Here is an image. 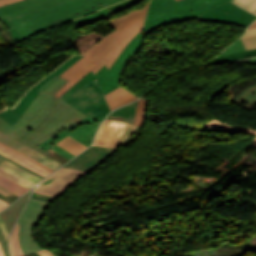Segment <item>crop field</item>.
<instances>
[{"instance_id": "obj_1", "label": "crop field", "mask_w": 256, "mask_h": 256, "mask_svg": "<svg viewBox=\"0 0 256 256\" xmlns=\"http://www.w3.org/2000/svg\"><path fill=\"white\" fill-rule=\"evenodd\" d=\"M67 82L60 77L40 92L15 123L10 125L0 118V131L46 155L49 154L37 145L87 117L67 102L53 97Z\"/></svg>"}, {"instance_id": "obj_2", "label": "crop field", "mask_w": 256, "mask_h": 256, "mask_svg": "<svg viewBox=\"0 0 256 256\" xmlns=\"http://www.w3.org/2000/svg\"><path fill=\"white\" fill-rule=\"evenodd\" d=\"M149 3L150 0L141 9L107 21L115 31L88 49L83 58L60 75L69 82L55 96L59 98L90 71L96 74L105 63L110 69L126 45L142 30Z\"/></svg>"}, {"instance_id": "obj_3", "label": "crop field", "mask_w": 256, "mask_h": 256, "mask_svg": "<svg viewBox=\"0 0 256 256\" xmlns=\"http://www.w3.org/2000/svg\"><path fill=\"white\" fill-rule=\"evenodd\" d=\"M119 1L121 0H69L10 19V21L15 26L19 34L23 38H26L34 34L31 30L33 28L77 14L100 4H102L103 7H106Z\"/></svg>"}, {"instance_id": "obj_4", "label": "crop field", "mask_w": 256, "mask_h": 256, "mask_svg": "<svg viewBox=\"0 0 256 256\" xmlns=\"http://www.w3.org/2000/svg\"><path fill=\"white\" fill-rule=\"evenodd\" d=\"M143 42V30L127 45L125 50L122 52L120 57L108 71L106 65H104L101 70L94 75L93 72L87 74L82 80H80L76 85H74L70 90H68L60 99L65 100L80 87L85 85L88 82H91L95 79L98 80L100 87L105 94L112 91L116 87L120 86L118 84L119 75L123 67L127 62L134 56V54L139 50Z\"/></svg>"}, {"instance_id": "obj_5", "label": "crop field", "mask_w": 256, "mask_h": 256, "mask_svg": "<svg viewBox=\"0 0 256 256\" xmlns=\"http://www.w3.org/2000/svg\"><path fill=\"white\" fill-rule=\"evenodd\" d=\"M226 1L229 0L220 2L198 14H195L175 0H152L145 25V34L169 23L198 18L200 14Z\"/></svg>"}, {"instance_id": "obj_6", "label": "crop field", "mask_w": 256, "mask_h": 256, "mask_svg": "<svg viewBox=\"0 0 256 256\" xmlns=\"http://www.w3.org/2000/svg\"><path fill=\"white\" fill-rule=\"evenodd\" d=\"M65 101L99 122L111 112L96 80L83 86Z\"/></svg>"}, {"instance_id": "obj_7", "label": "crop field", "mask_w": 256, "mask_h": 256, "mask_svg": "<svg viewBox=\"0 0 256 256\" xmlns=\"http://www.w3.org/2000/svg\"><path fill=\"white\" fill-rule=\"evenodd\" d=\"M51 202L31 198L26 205L18 223L21 224L19 242L24 255L40 250V246L33 238V226L39 225L46 215V208Z\"/></svg>"}, {"instance_id": "obj_8", "label": "crop field", "mask_w": 256, "mask_h": 256, "mask_svg": "<svg viewBox=\"0 0 256 256\" xmlns=\"http://www.w3.org/2000/svg\"><path fill=\"white\" fill-rule=\"evenodd\" d=\"M88 173L62 167L45 179L34 192L57 197Z\"/></svg>"}, {"instance_id": "obj_9", "label": "crop field", "mask_w": 256, "mask_h": 256, "mask_svg": "<svg viewBox=\"0 0 256 256\" xmlns=\"http://www.w3.org/2000/svg\"><path fill=\"white\" fill-rule=\"evenodd\" d=\"M137 128L120 120L105 119L94 144L117 148Z\"/></svg>"}, {"instance_id": "obj_10", "label": "crop field", "mask_w": 256, "mask_h": 256, "mask_svg": "<svg viewBox=\"0 0 256 256\" xmlns=\"http://www.w3.org/2000/svg\"><path fill=\"white\" fill-rule=\"evenodd\" d=\"M256 16L246 10L227 2L203 15L198 20L236 24L247 27Z\"/></svg>"}, {"instance_id": "obj_11", "label": "crop field", "mask_w": 256, "mask_h": 256, "mask_svg": "<svg viewBox=\"0 0 256 256\" xmlns=\"http://www.w3.org/2000/svg\"><path fill=\"white\" fill-rule=\"evenodd\" d=\"M117 151L119 150L91 146L67 163L65 167L90 172L100 166Z\"/></svg>"}, {"instance_id": "obj_12", "label": "crop field", "mask_w": 256, "mask_h": 256, "mask_svg": "<svg viewBox=\"0 0 256 256\" xmlns=\"http://www.w3.org/2000/svg\"><path fill=\"white\" fill-rule=\"evenodd\" d=\"M83 55L74 54L70 59L62 63L58 68L52 71L49 75L45 76L41 79L37 84H35L30 90H28L21 99L16 103L14 108L12 109L16 114L20 117L26 108L32 103L35 97L39 93V89L46 84L50 79H52L55 75L63 73L66 69H68L72 64H74L77 60H79Z\"/></svg>"}, {"instance_id": "obj_13", "label": "crop field", "mask_w": 256, "mask_h": 256, "mask_svg": "<svg viewBox=\"0 0 256 256\" xmlns=\"http://www.w3.org/2000/svg\"><path fill=\"white\" fill-rule=\"evenodd\" d=\"M66 0H25L4 7H0V17L6 16L8 19L35 11L47 6H51Z\"/></svg>"}, {"instance_id": "obj_14", "label": "crop field", "mask_w": 256, "mask_h": 256, "mask_svg": "<svg viewBox=\"0 0 256 256\" xmlns=\"http://www.w3.org/2000/svg\"><path fill=\"white\" fill-rule=\"evenodd\" d=\"M0 142L15 149L16 151L56 170L57 168H59L61 165V163L17 142L16 140L10 138L9 136L5 135L4 133L0 132Z\"/></svg>"}, {"instance_id": "obj_15", "label": "crop field", "mask_w": 256, "mask_h": 256, "mask_svg": "<svg viewBox=\"0 0 256 256\" xmlns=\"http://www.w3.org/2000/svg\"><path fill=\"white\" fill-rule=\"evenodd\" d=\"M0 173L29 189L42 180L7 160L0 164Z\"/></svg>"}, {"instance_id": "obj_16", "label": "crop field", "mask_w": 256, "mask_h": 256, "mask_svg": "<svg viewBox=\"0 0 256 256\" xmlns=\"http://www.w3.org/2000/svg\"><path fill=\"white\" fill-rule=\"evenodd\" d=\"M140 0H126L120 4L108 7L106 9L91 13L89 15L83 16L77 20H74V24L76 28L81 27L83 25L89 24L91 22L100 21L114 13H117L123 9H127L136 3H138Z\"/></svg>"}, {"instance_id": "obj_17", "label": "crop field", "mask_w": 256, "mask_h": 256, "mask_svg": "<svg viewBox=\"0 0 256 256\" xmlns=\"http://www.w3.org/2000/svg\"><path fill=\"white\" fill-rule=\"evenodd\" d=\"M32 190L30 192H28L26 195H24L22 198H20L17 202H15L8 209H6L5 211L0 213V217L6 227L9 235L11 234L13 225H14L16 219L18 218L23 206L27 203L28 197H29L30 193L32 192Z\"/></svg>"}, {"instance_id": "obj_18", "label": "crop field", "mask_w": 256, "mask_h": 256, "mask_svg": "<svg viewBox=\"0 0 256 256\" xmlns=\"http://www.w3.org/2000/svg\"><path fill=\"white\" fill-rule=\"evenodd\" d=\"M201 127L202 129L208 130V131H225L230 133L243 132V133H251L256 135V130L254 129L227 125L214 118L203 123ZM250 145L256 147V136L251 140Z\"/></svg>"}, {"instance_id": "obj_19", "label": "crop field", "mask_w": 256, "mask_h": 256, "mask_svg": "<svg viewBox=\"0 0 256 256\" xmlns=\"http://www.w3.org/2000/svg\"><path fill=\"white\" fill-rule=\"evenodd\" d=\"M105 97L111 111L117 107L133 102L138 98L132 95L130 92L124 90L121 86L105 95Z\"/></svg>"}, {"instance_id": "obj_20", "label": "crop field", "mask_w": 256, "mask_h": 256, "mask_svg": "<svg viewBox=\"0 0 256 256\" xmlns=\"http://www.w3.org/2000/svg\"><path fill=\"white\" fill-rule=\"evenodd\" d=\"M95 122L93 119H91L90 117H87L83 120H81L80 122L72 125L71 127L65 129L63 132L53 136L52 138H50L49 140L45 141L44 143L40 144L39 147L47 150L49 149L51 146H53L54 144H56L57 142H59L61 139H63L65 136L91 124Z\"/></svg>"}, {"instance_id": "obj_21", "label": "crop field", "mask_w": 256, "mask_h": 256, "mask_svg": "<svg viewBox=\"0 0 256 256\" xmlns=\"http://www.w3.org/2000/svg\"><path fill=\"white\" fill-rule=\"evenodd\" d=\"M0 154H2L4 156H6V157L16 161L17 163H19V164H21V165H23V166H25V167H27V168L37 172V173H39V174H41V175H43L45 177L48 176L51 173V172H49V171H47V170H45V169H43V168H41V167L31 163L30 161L20 157L19 155H17L15 153H13V152H11V151L1 147V146H0Z\"/></svg>"}, {"instance_id": "obj_22", "label": "crop field", "mask_w": 256, "mask_h": 256, "mask_svg": "<svg viewBox=\"0 0 256 256\" xmlns=\"http://www.w3.org/2000/svg\"><path fill=\"white\" fill-rule=\"evenodd\" d=\"M98 126H99V123L95 122L70 136L78 140L85 146L89 147Z\"/></svg>"}, {"instance_id": "obj_23", "label": "crop field", "mask_w": 256, "mask_h": 256, "mask_svg": "<svg viewBox=\"0 0 256 256\" xmlns=\"http://www.w3.org/2000/svg\"><path fill=\"white\" fill-rule=\"evenodd\" d=\"M136 103L137 102L116 110L115 112L111 113L107 118L120 119V120H123V121L133 124Z\"/></svg>"}, {"instance_id": "obj_24", "label": "crop field", "mask_w": 256, "mask_h": 256, "mask_svg": "<svg viewBox=\"0 0 256 256\" xmlns=\"http://www.w3.org/2000/svg\"><path fill=\"white\" fill-rule=\"evenodd\" d=\"M56 145L66 149L67 151H69L75 155L78 154L79 152H81L82 150H84L85 148H87L69 136L64 138L62 141H60Z\"/></svg>"}, {"instance_id": "obj_25", "label": "crop field", "mask_w": 256, "mask_h": 256, "mask_svg": "<svg viewBox=\"0 0 256 256\" xmlns=\"http://www.w3.org/2000/svg\"><path fill=\"white\" fill-rule=\"evenodd\" d=\"M0 186L21 196L22 194H24L26 191H28L29 189L23 187L22 185L0 175Z\"/></svg>"}, {"instance_id": "obj_26", "label": "crop field", "mask_w": 256, "mask_h": 256, "mask_svg": "<svg viewBox=\"0 0 256 256\" xmlns=\"http://www.w3.org/2000/svg\"><path fill=\"white\" fill-rule=\"evenodd\" d=\"M255 55H256V49L243 51V52L230 53V54H223V55H219L218 58H216L210 63L227 62V61L236 60L244 57L255 56Z\"/></svg>"}, {"instance_id": "obj_27", "label": "crop field", "mask_w": 256, "mask_h": 256, "mask_svg": "<svg viewBox=\"0 0 256 256\" xmlns=\"http://www.w3.org/2000/svg\"><path fill=\"white\" fill-rule=\"evenodd\" d=\"M220 1H223V0H196L191 3L186 4L184 6L186 8H188L189 10L197 13V12H199L217 2H220Z\"/></svg>"}, {"instance_id": "obj_28", "label": "crop field", "mask_w": 256, "mask_h": 256, "mask_svg": "<svg viewBox=\"0 0 256 256\" xmlns=\"http://www.w3.org/2000/svg\"><path fill=\"white\" fill-rule=\"evenodd\" d=\"M146 104L147 99L142 98L138 100L136 116H135V125L143 126L144 119H145V112H146Z\"/></svg>"}, {"instance_id": "obj_29", "label": "crop field", "mask_w": 256, "mask_h": 256, "mask_svg": "<svg viewBox=\"0 0 256 256\" xmlns=\"http://www.w3.org/2000/svg\"><path fill=\"white\" fill-rule=\"evenodd\" d=\"M240 39L246 50L256 48V28L249 29Z\"/></svg>"}, {"instance_id": "obj_30", "label": "crop field", "mask_w": 256, "mask_h": 256, "mask_svg": "<svg viewBox=\"0 0 256 256\" xmlns=\"http://www.w3.org/2000/svg\"><path fill=\"white\" fill-rule=\"evenodd\" d=\"M19 226H20L19 224L16 225L10 241V247H11L13 256H24L18 243Z\"/></svg>"}, {"instance_id": "obj_31", "label": "crop field", "mask_w": 256, "mask_h": 256, "mask_svg": "<svg viewBox=\"0 0 256 256\" xmlns=\"http://www.w3.org/2000/svg\"><path fill=\"white\" fill-rule=\"evenodd\" d=\"M100 8H103V7H102V6H98V7H96V8L89 9V10H87V11L81 12L80 14L73 15V16L68 17V18H65V19H63V20H59V21H57V22H54V23H51V24H47V25L41 26V27H39V28L33 29V31H34V33H36V32L41 31V30H43V29H46V28H49V27H52V26L61 24V23H63V22L72 20V19H74V18H76V17H78V16L85 15V14H87V13H89V12L98 10V9H100Z\"/></svg>"}, {"instance_id": "obj_32", "label": "crop field", "mask_w": 256, "mask_h": 256, "mask_svg": "<svg viewBox=\"0 0 256 256\" xmlns=\"http://www.w3.org/2000/svg\"><path fill=\"white\" fill-rule=\"evenodd\" d=\"M230 2L256 15V0H232Z\"/></svg>"}, {"instance_id": "obj_33", "label": "crop field", "mask_w": 256, "mask_h": 256, "mask_svg": "<svg viewBox=\"0 0 256 256\" xmlns=\"http://www.w3.org/2000/svg\"><path fill=\"white\" fill-rule=\"evenodd\" d=\"M253 92H256V85L247 89L236 101L235 103L237 104H241V102H245V103H251V104H256V98H251L248 97L250 94H252Z\"/></svg>"}, {"instance_id": "obj_34", "label": "crop field", "mask_w": 256, "mask_h": 256, "mask_svg": "<svg viewBox=\"0 0 256 256\" xmlns=\"http://www.w3.org/2000/svg\"><path fill=\"white\" fill-rule=\"evenodd\" d=\"M0 116L5 119L7 122H9L10 124L15 122L17 119H19L20 117L17 116L12 110H10L9 108L0 112Z\"/></svg>"}, {"instance_id": "obj_35", "label": "crop field", "mask_w": 256, "mask_h": 256, "mask_svg": "<svg viewBox=\"0 0 256 256\" xmlns=\"http://www.w3.org/2000/svg\"><path fill=\"white\" fill-rule=\"evenodd\" d=\"M2 20V22L7 26V28L12 32L13 34V38L14 40L17 42L21 39H23L18 32L16 31V29L14 28V26L11 24V22L6 18H0Z\"/></svg>"}, {"instance_id": "obj_36", "label": "crop field", "mask_w": 256, "mask_h": 256, "mask_svg": "<svg viewBox=\"0 0 256 256\" xmlns=\"http://www.w3.org/2000/svg\"><path fill=\"white\" fill-rule=\"evenodd\" d=\"M47 151L50 153L48 156L54 158L55 160H57V161H59V162H61L63 164L69 161L68 159H66L65 157L59 155L58 153L54 152L51 149H49Z\"/></svg>"}, {"instance_id": "obj_37", "label": "crop field", "mask_w": 256, "mask_h": 256, "mask_svg": "<svg viewBox=\"0 0 256 256\" xmlns=\"http://www.w3.org/2000/svg\"><path fill=\"white\" fill-rule=\"evenodd\" d=\"M0 244H1L2 248H3L4 255L5 256H10L8 245H7L6 241H5V238H4L3 234H2L1 229H0Z\"/></svg>"}, {"instance_id": "obj_38", "label": "crop field", "mask_w": 256, "mask_h": 256, "mask_svg": "<svg viewBox=\"0 0 256 256\" xmlns=\"http://www.w3.org/2000/svg\"><path fill=\"white\" fill-rule=\"evenodd\" d=\"M52 149H53L54 151L58 152L59 154L65 156V157L68 158V159H71V158H73V157L75 156V155H73V154H71V153L65 151L64 149H62V148H60V147H58V146H56V145H55V147L52 148Z\"/></svg>"}, {"instance_id": "obj_39", "label": "crop field", "mask_w": 256, "mask_h": 256, "mask_svg": "<svg viewBox=\"0 0 256 256\" xmlns=\"http://www.w3.org/2000/svg\"><path fill=\"white\" fill-rule=\"evenodd\" d=\"M0 194L4 195L5 197H7V198H9L13 201L16 200L19 197V196L13 194V193L1 188V187H0Z\"/></svg>"}, {"instance_id": "obj_40", "label": "crop field", "mask_w": 256, "mask_h": 256, "mask_svg": "<svg viewBox=\"0 0 256 256\" xmlns=\"http://www.w3.org/2000/svg\"><path fill=\"white\" fill-rule=\"evenodd\" d=\"M31 197H37V198L49 200L51 202H53L55 200L54 197H50V196H46V195H42V194H38V193H34V192L32 193Z\"/></svg>"}, {"instance_id": "obj_41", "label": "crop field", "mask_w": 256, "mask_h": 256, "mask_svg": "<svg viewBox=\"0 0 256 256\" xmlns=\"http://www.w3.org/2000/svg\"><path fill=\"white\" fill-rule=\"evenodd\" d=\"M0 145H1V146H3V147H5V148H7V149H9V150H11V151H13V152H15V153H17V154H19V155H21L22 157H24V158H26V159L30 160L31 162H33V163H35V164H37V165H39V166H41V167H43V168H45V169H47V170L51 171V172H53V170H51V169H49V168H47V167H45V166H43V165H41V164H39V163H37V162L33 161V160H31L30 158H28V157H26V156H24V155H22V154H20V153H18V152H16V151H14V150L10 149V148H8V147H6V146L2 145V144H0Z\"/></svg>"}, {"instance_id": "obj_42", "label": "crop field", "mask_w": 256, "mask_h": 256, "mask_svg": "<svg viewBox=\"0 0 256 256\" xmlns=\"http://www.w3.org/2000/svg\"><path fill=\"white\" fill-rule=\"evenodd\" d=\"M0 227H1V229H2V231H3V234H4L5 238H6V241H7V243H8L9 235H8V233H7V231H6L5 227H4V225H3L2 221H1V219H0Z\"/></svg>"}, {"instance_id": "obj_43", "label": "crop field", "mask_w": 256, "mask_h": 256, "mask_svg": "<svg viewBox=\"0 0 256 256\" xmlns=\"http://www.w3.org/2000/svg\"><path fill=\"white\" fill-rule=\"evenodd\" d=\"M18 1H21V0H2V1H0V6L11 4L14 2H18Z\"/></svg>"}, {"instance_id": "obj_44", "label": "crop field", "mask_w": 256, "mask_h": 256, "mask_svg": "<svg viewBox=\"0 0 256 256\" xmlns=\"http://www.w3.org/2000/svg\"><path fill=\"white\" fill-rule=\"evenodd\" d=\"M38 253H39L41 256H52V254H51L47 249L40 250V251H38Z\"/></svg>"}, {"instance_id": "obj_45", "label": "crop field", "mask_w": 256, "mask_h": 256, "mask_svg": "<svg viewBox=\"0 0 256 256\" xmlns=\"http://www.w3.org/2000/svg\"><path fill=\"white\" fill-rule=\"evenodd\" d=\"M0 156L3 157V158H5V159H7V160H9V161H11V162H13V163H15V164H17L16 162H14V161H12V160H10V159H8V158L2 156V155H0ZM17 165L20 166V167H22V168H24V169H26V170H28L29 172H31V173H33V174L39 176L40 178L44 179V177H42V176H40V175H38V174H36V173L30 171L29 169H27V168H25V167H23V166H21V165H19V164H17Z\"/></svg>"}, {"instance_id": "obj_46", "label": "crop field", "mask_w": 256, "mask_h": 256, "mask_svg": "<svg viewBox=\"0 0 256 256\" xmlns=\"http://www.w3.org/2000/svg\"><path fill=\"white\" fill-rule=\"evenodd\" d=\"M60 76H56V77H54L51 81H49L46 85H44L41 89H40V91H43L45 88H47L51 83H53L57 78H59Z\"/></svg>"}, {"instance_id": "obj_47", "label": "crop field", "mask_w": 256, "mask_h": 256, "mask_svg": "<svg viewBox=\"0 0 256 256\" xmlns=\"http://www.w3.org/2000/svg\"><path fill=\"white\" fill-rule=\"evenodd\" d=\"M8 205H10V204H8L0 199V211L3 210L4 208H6Z\"/></svg>"}, {"instance_id": "obj_48", "label": "crop field", "mask_w": 256, "mask_h": 256, "mask_svg": "<svg viewBox=\"0 0 256 256\" xmlns=\"http://www.w3.org/2000/svg\"><path fill=\"white\" fill-rule=\"evenodd\" d=\"M236 63H250V64H256V58H255V59H250V60L241 61V62H236Z\"/></svg>"}, {"instance_id": "obj_49", "label": "crop field", "mask_w": 256, "mask_h": 256, "mask_svg": "<svg viewBox=\"0 0 256 256\" xmlns=\"http://www.w3.org/2000/svg\"><path fill=\"white\" fill-rule=\"evenodd\" d=\"M250 245H256V235L249 240Z\"/></svg>"}, {"instance_id": "obj_50", "label": "crop field", "mask_w": 256, "mask_h": 256, "mask_svg": "<svg viewBox=\"0 0 256 256\" xmlns=\"http://www.w3.org/2000/svg\"><path fill=\"white\" fill-rule=\"evenodd\" d=\"M0 198L3 199V200H5L6 202H8V203H10V204L13 202V201H11V200L5 198V197L2 196V195H0Z\"/></svg>"}, {"instance_id": "obj_51", "label": "crop field", "mask_w": 256, "mask_h": 256, "mask_svg": "<svg viewBox=\"0 0 256 256\" xmlns=\"http://www.w3.org/2000/svg\"><path fill=\"white\" fill-rule=\"evenodd\" d=\"M191 1H193V0H181V1H179V3H181L182 5H184V4H186V3H188V2H191Z\"/></svg>"}, {"instance_id": "obj_52", "label": "crop field", "mask_w": 256, "mask_h": 256, "mask_svg": "<svg viewBox=\"0 0 256 256\" xmlns=\"http://www.w3.org/2000/svg\"><path fill=\"white\" fill-rule=\"evenodd\" d=\"M253 27H256V22L253 23L249 28H253Z\"/></svg>"}, {"instance_id": "obj_53", "label": "crop field", "mask_w": 256, "mask_h": 256, "mask_svg": "<svg viewBox=\"0 0 256 256\" xmlns=\"http://www.w3.org/2000/svg\"><path fill=\"white\" fill-rule=\"evenodd\" d=\"M0 256H3L2 248L0 246Z\"/></svg>"}, {"instance_id": "obj_54", "label": "crop field", "mask_w": 256, "mask_h": 256, "mask_svg": "<svg viewBox=\"0 0 256 256\" xmlns=\"http://www.w3.org/2000/svg\"><path fill=\"white\" fill-rule=\"evenodd\" d=\"M48 249V248H47ZM49 250V249H48ZM50 251V250H49ZM54 256H57V255H55L52 251H50ZM36 254L38 255V256H40L37 252H36Z\"/></svg>"}, {"instance_id": "obj_55", "label": "crop field", "mask_w": 256, "mask_h": 256, "mask_svg": "<svg viewBox=\"0 0 256 256\" xmlns=\"http://www.w3.org/2000/svg\"><path fill=\"white\" fill-rule=\"evenodd\" d=\"M4 160H5V159H3V158L0 157V163L3 162Z\"/></svg>"}, {"instance_id": "obj_56", "label": "crop field", "mask_w": 256, "mask_h": 256, "mask_svg": "<svg viewBox=\"0 0 256 256\" xmlns=\"http://www.w3.org/2000/svg\"><path fill=\"white\" fill-rule=\"evenodd\" d=\"M136 131H137V130H136ZM134 132H135V131H134ZM130 137H131V136H130ZM130 137H129V138H130ZM129 138H128V139H129ZM128 139H127V140H128ZM127 140H126V141H127ZM121 145H122V144H121ZM121 145H120V146H121ZM120 146H119V147H120ZM119 147H118V148H119Z\"/></svg>"}, {"instance_id": "obj_57", "label": "crop field", "mask_w": 256, "mask_h": 256, "mask_svg": "<svg viewBox=\"0 0 256 256\" xmlns=\"http://www.w3.org/2000/svg\"><path fill=\"white\" fill-rule=\"evenodd\" d=\"M177 1H179V0H177Z\"/></svg>"}]
</instances>
